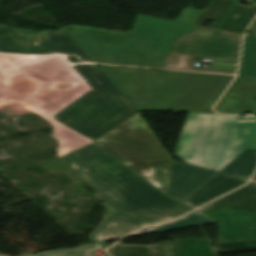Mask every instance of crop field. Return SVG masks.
Listing matches in <instances>:
<instances>
[{
  "label": "crop field",
  "mask_w": 256,
  "mask_h": 256,
  "mask_svg": "<svg viewBox=\"0 0 256 256\" xmlns=\"http://www.w3.org/2000/svg\"><path fill=\"white\" fill-rule=\"evenodd\" d=\"M254 181H256V175H255V177H254V179H253Z\"/></svg>",
  "instance_id": "92a150f3"
},
{
  "label": "crop field",
  "mask_w": 256,
  "mask_h": 256,
  "mask_svg": "<svg viewBox=\"0 0 256 256\" xmlns=\"http://www.w3.org/2000/svg\"><path fill=\"white\" fill-rule=\"evenodd\" d=\"M60 158L82 174L107 208L102 223L90 235L97 242L121 238L192 210L164 195L93 143Z\"/></svg>",
  "instance_id": "ac0d7876"
},
{
  "label": "crop field",
  "mask_w": 256,
  "mask_h": 256,
  "mask_svg": "<svg viewBox=\"0 0 256 256\" xmlns=\"http://www.w3.org/2000/svg\"><path fill=\"white\" fill-rule=\"evenodd\" d=\"M101 249L95 244L78 246L77 248L63 249L34 254V256H92L91 251Z\"/></svg>",
  "instance_id": "4a817a6b"
},
{
  "label": "crop field",
  "mask_w": 256,
  "mask_h": 256,
  "mask_svg": "<svg viewBox=\"0 0 256 256\" xmlns=\"http://www.w3.org/2000/svg\"><path fill=\"white\" fill-rule=\"evenodd\" d=\"M256 14V7H243L236 2L220 29L244 33Z\"/></svg>",
  "instance_id": "cbeb9de0"
},
{
  "label": "crop field",
  "mask_w": 256,
  "mask_h": 256,
  "mask_svg": "<svg viewBox=\"0 0 256 256\" xmlns=\"http://www.w3.org/2000/svg\"><path fill=\"white\" fill-rule=\"evenodd\" d=\"M242 152V151H241ZM256 168V149L246 148L235 159H233L227 166H225L220 173L249 180Z\"/></svg>",
  "instance_id": "22f410ed"
},
{
  "label": "crop field",
  "mask_w": 256,
  "mask_h": 256,
  "mask_svg": "<svg viewBox=\"0 0 256 256\" xmlns=\"http://www.w3.org/2000/svg\"><path fill=\"white\" fill-rule=\"evenodd\" d=\"M62 38L74 52L63 59L90 90L49 118L94 141L137 110L69 35Z\"/></svg>",
  "instance_id": "34b2d1b8"
},
{
  "label": "crop field",
  "mask_w": 256,
  "mask_h": 256,
  "mask_svg": "<svg viewBox=\"0 0 256 256\" xmlns=\"http://www.w3.org/2000/svg\"><path fill=\"white\" fill-rule=\"evenodd\" d=\"M219 222L217 243L256 240V183L197 210Z\"/></svg>",
  "instance_id": "e52e79f7"
},
{
  "label": "crop field",
  "mask_w": 256,
  "mask_h": 256,
  "mask_svg": "<svg viewBox=\"0 0 256 256\" xmlns=\"http://www.w3.org/2000/svg\"><path fill=\"white\" fill-rule=\"evenodd\" d=\"M98 67L109 77V79L119 88L121 92L138 70L135 68L105 65H100Z\"/></svg>",
  "instance_id": "733c2abd"
},
{
  "label": "crop field",
  "mask_w": 256,
  "mask_h": 256,
  "mask_svg": "<svg viewBox=\"0 0 256 256\" xmlns=\"http://www.w3.org/2000/svg\"><path fill=\"white\" fill-rule=\"evenodd\" d=\"M66 34L62 29L30 37L19 29L0 25V106L19 103L41 114L61 141L59 156L91 142L48 118L89 90L61 58L72 53L60 37ZM17 77L35 82V89L23 94L11 91L10 84ZM62 82L70 86L59 89Z\"/></svg>",
  "instance_id": "8a807250"
},
{
  "label": "crop field",
  "mask_w": 256,
  "mask_h": 256,
  "mask_svg": "<svg viewBox=\"0 0 256 256\" xmlns=\"http://www.w3.org/2000/svg\"><path fill=\"white\" fill-rule=\"evenodd\" d=\"M246 182V180L218 173L184 202L196 208Z\"/></svg>",
  "instance_id": "28ad6ade"
},
{
  "label": "crop field",
  "mask_w": 256,
  "mask_h": 256,
  "mask_svg": "<svg viewBox=\"0 0 256 256\" xmlns=\"http://www.w3.org/2000/svg\"><path fill=\"white\" fill-rule=\"evenodd\" d=\"M217 172L189 166L177 161L172 164L167 194L184 201Z\"/></svg>",
  "instance_id": "5a996713"
},
{
  "label": "crop field",
  "mask_w": 256,
  "mask_h": 256,
  "mask_svg": "<svg viewBox=\"0 0 256 256\" xmlns=\"http://www.w3.org/2000/svg\"><path fill=\"white\" fill-rule=\"evenodd\" d=\"M219 113L256 114V78L237 77L215 108Z\"/></svg>",
  "instance_id": "3316defc"
},
{
  "label": "crop field",
  "mask_w": 256,
  "mask_h": 256,
  "mask_svg": "<svg viewBox=\"0 0 256 256\" xmlns=\"http://www.w3.org/2000/svg\"><path fill=\"white\" fill-rule=\"evenodd\" d=\"M238 76L256 77V37H245Z\"/></svg>",
  "instance_id": "d9b57169"
},
{
  "label": "crop field",
  "mask_w": 256,
  "mask_h": 256,
  "mask_svg": "<svg viewBox=\"0 0 256 256\" xmlns=\"http://www.w3.org/2000/svg\"><path fill=\"white\" fill-rule=\"evenodd\" d=\"M250 250H256V241L218 244L216 253L250 251Z\"/></svg>",
  "instance_id": "bc2a9ffb"
},
{
  "label": "crop field",
  "mask_w": 256,
  "mask_h": 256,
  "mask_svg": "<svg viewBox=\"0 0 256 256\" xmlns=\"http://www.w3.org/2000/svg\"><path fill=\"white\" fill-rule=\"evenodd\" d=\"M234 2L235 0H211L205 11L184 8L176 21L203 26L208 19L215 21L212 27L217 28Z\"/></svg>",
  "instance_id": "d1516ede"
},
{
  "label": "crop field",
  "mask_w": 256,
  "mask_h": 256,
  "mask_svg": "<svg viewBox=\"0 0 256 256\" xmlns=\"http://www.w3.org/2000/svg\"><path fill=\"white\" fill-rule=\"evenodd\" d=\"M245 147L256 148V119L188 114L173 156L219 172Z\"/></svg>",
  "instance_id": "412701ff"
},
{
  "label": "crop field",
  "mask_w": 256,
  "mask_h": 256,
  "mask_svg": "<svg viewBox=\"0 0 256 256\" xmlns=\"http://www.w3.org/2000/svg\"><path fill=\"white\" fill-rule=\"evenodd\" d=\"M248 32H251L253 35H256V19L253 22V24L251 25L250 29L248 30Z\"/></svg>",
  "instance_id": "214f88e0"
},
{
  "label": "crop field",
  "mask_w": 256,
  "mask_h": 256,
  "mask_svg": "<svg viewBox=\"0 0 256 256\" xmlns=\"http://www.w3.org/2000/svg\"><path fill=\"white\" fill-rule=\"evenodd\" d=\"M94 143L166 194L172 159L138 112Z\"/></svg>",
  "instance_id": "f4fd0767"
},
{
  "label": "crop field",
  "mask_w": 256,
  "mask_h": 256,
  "mask_svg": "<svg viewBox=\"0 0 256 256\" xmlns=\"http://www.w3.org/2000/svg\"><path fill=\"white\" fill-rule=\"evenodd\" d=\"M241 34L201 27L175 39L165 69L235 74L190 68L194 58L237 61Z\"/></svg>",
  "instance_id": "dd49c442"
},
{
  "label": "crop field",
  "mask_w": 256,
  "mask_h": 256,
  "mask_svg": "<svg viewBox=\"0 0 256 256\" xmlns=\"http://www.w3.org/2000/svg\"><path fill=\"white\" fill-rule=\"evenodd\" d=\"M215 222H216L215 220L195 211L174 222L153 226L154 229L150 231H145L144 229H142L132 234L129 237L146 235V234H151L155 232H161V231H167V230H173V229H179V228H185V227H191V226H197V225H203V224H209V223H215Z\"/></svg>",
  "instance_id": "5142ce71"
},
{
  "label": "crop field",
  "mask_w": 256,
  "mask_h": 256,
  "mask_svg": "<svg viewBox=\"0 0 256 256\" xmlns=\"http://www.w3.org/2000/svg\"><path fill=\"white\" fill-rule=\"evenodd\" d=\"M210 240L187 239L156 245L118 243L107 250L109 256H215Z\"/></svg>",
  "instance_id": "d8731c3e"
}]
</instances>
